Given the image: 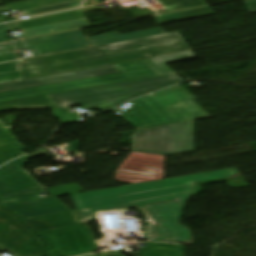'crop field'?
<instances>
[{"mask_svg": "<svg viewBox=\"0 0 256 256\" xmlns=\"http://www.w3.org/2000/svg\"><path fill=\"white\" fill-rule=\"evenodd\" d=\"M224 180L231 187L249 186L234 168L70 196L80 217L104 209L135 207L147 219V240L195 245L189 229L179 223L185 203L201 193V184Z\"/></svg>", "mask_w": 256, "mask_h": 256, "instance_id": "8a807250", "label": "crop field"}, {"mask_svg": "<svg viewBox=\"0 0 256 256\" xmlns=\"http://www.w3.org/2000/svg\"><path fill=\"white\" fill-rule=\"evenodd\" d=\"M189 50L185 42L107 56L99 47L22 61L24 78Z\"/></svg>", "mask_w": 256, "mask_h": 256, "instance_id": "ac0d7876", "label": "crop field"}, {"mask_svg": "<svg viewBox=\"0 0 256 256\" xmlns=\"http://www.w3.org/2000/svg\"><path fill=\"white\" fill-rule=\"evenodd\" d=\"M183 81L178 75H166L141 79L77 91L47 95L63 109L83 104L87 108H98L102 112L121 105L126 100L174 85Z\"/></svg>", "mask_w": 256, "mask_h": 256, "instance_id": "34b2d1b8", "label": "crop field"}, {"mask_svg": "<svg viewBox=\"0 0 256 256\" xmlns=\"http://www.w3.org/2000/svg\"><path fill=\"white\" fill-rule=\"evenodd\" d=\"M193 98L177 85L131 102L136 108L120 117L138 129L209 118L210 116L192 100ZM188 101L199 110L179 112L173 115L167 111Z\"/></svg>", "mask_w": 256, "mask_h": 256, "instance_id": "412701ff", "label": "crop field"}, {"mask_svg": "<svg viewBox=\"0 0 256 256\" xmlns=\"http://www.w3.org/2000/svg\"><path fill=\"white\" fill-rule=\"evenodd\" d=\"M115 66L120 73L1 93L0 102L162 74L148 59L116 64Z\"/></svg>", "mask_w": 256, "mask_h": 256, "instance_id": "f4fd0767", "label": "crop field"}, {"mask_svg": "<svg viewBox=\"0 0 256 256\" xmlns=\"http://www.w3.org/2000/svg\"><path fill=\"white\" fill-rule=\"evenodd\" d=\"M132 149L120 168L141 172H145V166L163 169L164 156L171 155L170 125L136 132Z\"/></svg>", "mask_w": 256, "mask_h": 256, "instance_id": "dd49c442", "label": "crop field"}, {"mask_svg": "<svg viewBox=\"0 0 256 256\" xmlns=\"http://www.w3.org/2000/svg\"><path fill=\"white\" fill-rule=\"evenodd\" d=\"M40 154H43L42 150L0 168V203L2 206L41 199L37 193L43 192L44 187L21 168L27 163L26 159Z\"/></svg>", "mask_w": 256, "mask_h": 256, "instance_id": "e52e79f7", "label": "crop field"}, {"mask_svg": "<svg viewBox=\"0 0 256 256\" xmlns=\"http://www.w3.org/2000/svg\"><path fill=\"white\" fill-rule=\"evenodd\" d=\"M47 241V256H76L97 250L86 225L39 233Z\"/></svg>", "mask_w": 256, "mask_h": 256, "instance_id": "d8731c3e", "label": "crop field"}, {"mask_svg": "<svg viewBox=\"0 0 256 256\" xmlns=\"http://www.w3.org/2000/svg\"><path fill=\"white\" fill-rule=\"evenodd\" d=\"M0 248L16 256H42L43 244L14 215L0 209Z\"/></svg>", "mask_w": 256, "mask_h": 256, "instance_id": "5a996713", "label": "crop field"}, {"mask_svg": "<svg viewBox=\"0 0 256 256\" xmlns=\"http://www.w3.org/2000/svg\"><path fill=\"white\" fill-rule=\"evenodd\" d=\"M8 25L10 30H23L25 38L89 26L80 9Z\"/></svg>", "mask_w": 256, "mask_h": 256, "instance_id": "3316defc", "label": "crop field"}, {"mask_svg": "<svg viewBox=\"0 0 256 256\" xmlns=\"http://www.w3.org/2000/svg\"><path fill=\"white\" fill-rule=\"evenodd\" d=\"M119 72L114 65L73 73L0 84V93Z\"/></svg>", "mask_w": 256, "mask_h": 256, "instance_id": "28ad6ade", "label": "crop field"}, {"mask_svg": "<svg viewBox=\"0 0 256 256\" xmlns=\"http://www.w3.org/2000/svg\"><path fill=\"white\" fill-rule=\"evenodd\" d=\"M83 2L84 0H27L5 5V7L0 8V13L9 10H19L32 17L80 7ZM3 22H5V18H0V23Z\"/></svg>", "mask_w": 256, "mask_h": 256, "instance_id": "d1516ede", "label": "crop field"}, {"mask_svg": "<svg viewBox=\"0 0 256 256\" xmlns=\"http://www.w3.org/2000/svg\"><path fill=\"white\" fill-rule=\"evenodd\" d=\"M183 39L180 37L178 32L169 33L159 36H153L133 41H127L112 45L101 46L100 48L107 54H117L141 49H147L177 42H182Z\"/></svg>", "mask_w": 256, "mask_h": 256, "instance_id": "22f410ed", "label": "crop field"}, {"mask_svg": "<svg viewBox=\"0 0 256 256\" xmlns=\"http://www.w3.org/2000/svg\"><path fill=\"white\" fill-rule=\"evenodd\" d=\"M4 208L16 213L21 219L70 211L65 205L53 197L45 200L27 202L22 204L4 206Z\"/></svg>", "mask_w": 256, "mask_h": 256, "instance_id": "cbeb9de0", "label": "crop field"}, {"mask_svg": "<svg viewBox=\"0 0 256 256\" xmlns=\"http://www.w3.org/2000/svg\"><path fill=\"white\" fill-rule=\"evenodd\" d=\"M35 233L80 224L74 211L22 220Z\"/></svg>", "mask_w": 256, "mask_h": 256, "instance_id": "5142ce71", "label": "crop field"}, {"mask_svg": "<svg viewBox=\"0 0 256 256\" xmlns=\"http://www.w3.org/2000/svg\"><path fill=\"white\" fill-rule=\"evenodd\" d=\"M172 155L193 152L192 121L171 125Z\"/></svg>", "mask_w": 256, "mask_h": 256, "instance_id": "d9b57169", "label": "crop field"}, {"mask_svg": "<svg viewBox=\"0 0 256 256\" xmlns=\"http://www.w3.org/2000/svg\"><path fill=\"white\" fill-rule=\"evenodd\" d=\"M165 32L161 29H152L147 31H141V32H135L130 34H124V35H118L117 33L107 34L103 36H97V37H91L89 38L90 42L93 44L94 47L106 45V44H112L132 39H138L153 35H159L164 34Z\"/></svg>", "mask_w": 256, "mask_h": 256, "instance_id": "733c2abd", "label": "crop field"}, {"mask_svg": "<svg viewBox=\"0 0 256 256\" xmlns=\"http://www.w3.org/2000/svg\"><path fill=\"white\" fill-rule=\"evenodd\" d=\"M115 179L131 184L160 180L163 179V170L146 167V172L141 173L118 169Z\"/></svg>", "mask_w": 256, "mask_h": 256, "instance_id": "4a817a6b", "label": "crop field"}, {"mask_svg": "<svg viewBox=\"0 0 256 256\" xmlns=\"http://www.w3.org/2000/svg\"><path fill=\"white\" fill-rule=\"evenodd\" d=\"M51 38L55 42L60 52L90 46L84 39V35L80 30L52 35Z\"/></svg>", "mask_w": 256, "mask_h": 256, "instance_id": "bc2a9ffb", "label": "crop field"}, {"mask_svg": "<svg viewBox=\"0 0 256 256\" xmlns=\"http://www.w3.org/2000/svg\"><path fill=\"white\" fill-rule=\"evenodd\" d=\"M60 108L45 96L20 101L0 103V111L13 109Z\"/></svg>", "mask_w": 256, "mask_h": 256, "instance_id": "214f88e0", "label": "crop field"}, {"mask_svg": "<svg viewBox=\"0 0 256 256\" xmlns=\"http://www.w3.org/2000/svg\"><path fill=\"white\" fill-rule=\"evenodd\" d=\"M140 254L141 256H184V246L152 243L149 246L143 247Z\"/></svg>", "mask_w": 256, "mask_h": 256, "instance_id": "92a150f3", "label": "crop field"}, {"mask_svg": "<svg viewBox=\"0 0 256 256\" xmlns=\"http://www.w3.org/2000/svg\"><path fill=\"white\" fill-rule=\"evenodd\" d=\"M214 13L211 11L209 7L205 8H197V9H190L185 11H179L164 15L153 16L152 18L158 23H167L173 22L178 20L196 18L201 16L213 15Z\"/></svg>", "mask_w": 256, "mask_h": 256, "instance_id": "dafd665d", "label": "crop field"}, {"mask_svg": "<svg viewBox=\"0 0 256 256\" xmlns=\"http://www.w3.org/2000/svg\"><path fill=\"white\" fill-rule=\"evenodd\" d=\"M18 44L21 49H32L35 56L59 52L50 36L19 41Z\"/></svg>", "mask_w": 256, "mask_h": 256, "instance_id": "00972430", "label": "crop field"}, {"mask_svg": "<svg viewBox=\"0 0 256 256\" xmlns=\"http://www.w3.org/2000/svg\"><path fill=\"white\" fill-rule=\"evenodd\" d=\"M193 57H194V55H193L192 51H189V52H183V53L161 56V57H156V58H150L149 60L163 74H166V73H172L173 71L165 63L188 59V58H193Z\"/></svg>", "mask_w": 256, "mask_h": 256, "instance_id": "a9b5d70f", "label": "crop field"}, {"mask_svg": "<svg viewBox=\"0 0 256 256\" xmlns=\"http://www.w3.org/2000/svg\"><path fill=\"white\" fill-rule=\"evenodd\" d=\"M167 12L193 8L206 3L203 0H157Z\"/></svg>", "mask_w": 256, "mask_h": 256, "instance_id": "4177f3b9", "label": "crop field"}, {"mask_svg": "<svg viewBox=\"0 0 256 256\" xmlns=\"http://www.w3.org/2000/svg\"><path fill=\"white\" fill-rule=\"evenodd\" d=\"M21 79L19 61L0 64V82Z\"/></svg>", "mask_w": 256, "mask_h": 256, "instance_id": "730fd06b", "label": "crop field"}, {"mask_svg": "<svg viewBox=\"0 0 256 256\" xmlns=\"http://www.w3.org/2000/svg\"><path fill=\"white\" fill-rule=\"evenodd\" d=\"M24 148L17 142L11 145H7L0 148V165L15 158L23 155Z\"/></svg>", "mask_w": 256, "mask_h": 256, "instance_id": "eef30255", "label": "crop field"}, {"mask_svg": "<svg viewBox=\"0 0 256 256\" xmlns=\"http://www.w3.org/2000/svg\"><path fill=\"white\" fill-rule=\"evenodd\" d=\"M46 190H48L54 196L84 192V190L76 184L54 187V188H48Z\"/></svg>", "mask_w": 256, "mask_h": 256, "instance_id": "ae1a2a85", "label": "crop field"}, {"mask_svg": "<svg viewBox=\"0 0 256 256\" xmlns=\"http://www.w3.org/2000/svg\"><path fill=\"white\" fill-rule=\"evenodd\" d=\"M16 44L8 43L0 45V62L19 59L18 55H12L11 51L17 50Z\"/></svg>", "mask_w": 256, "mask_h": 256, "instance_id": "d3111659", "label": "crop field"}, {"mask_svg": "<svg viewBox=\"0 0 256 256\" xmlns=\"http://www.w3.org/2000/svg\"><path fill=\"white\" fill-rule=\"evenodd\" d=\"M17 141L18 140L15 138L13 134L0 136V147Z\"/></svg>", "mask_w": 256, "mask_h": 256, "instance_id": "750c4746", "label": "crop field"}, {"mask_svg": "<svg viewBox=\"0 0 256 256\" xmlns=\"http://www.w3.org/2000/svg\"><path fill=\"white\" fill-rule=\"evenodd\" d=\"M197 108L195 106H193L190 102L177 107L171 111H169L171 114L175 113V112H179V111H186V110H196Z\"/></svg>", "mask_w": 256, "mask_h": 256, "instance_id": "bd1437ed", "label": "crop field"}, {"mask_svg": "<svg viewBox=\"0 0 256 256\" xmlns=\"http://www.w3.org/2000/svg\"><path fill=\"white\" fill-rule=\"evenodd\" d=\"M8 29L6 25L0 26V42L9 41L10 38H6Z\"/></svg>", "mask_w": 256, "mask_h": 256, "instance_id": "1d83c4d3", "label": "crop field"}, {"mask_svg": "<svg viewBox=\"0 0 256 256\" xmlns=\"http://www.w3.org/2000/svg\"><path fill=\"white\" fill-rule=\"evenodd\" d=\"M12 132L11 127L6 128L2 122L0 121V135L9 134Z\"/></svg>", "mask_w": 256, "mask_h": 256, "instance_id": "120bbe31", "label": "crop field"}, {"mask_svg": "<svg viewBox=\"0 0 256 256\" xmlns=\"http://www.w3.org/2000/svg\"><path fill=\"white\" fill-rule=\"evenodd\" d=\"M79 143L80 141L72 142L69 150L78 151Z\"/></svg>", "mask_w": 256, "mask_h": 256, "instance_id": "d32e631a", "label": "crop field"}, {"mask_svg": "<svg viewBox=\"0 0 256 256\" xmlns=\"http://www.w3.org/2000/svg\"><path fill=\"white\" fill-rule=\"evenodd\" d=\"M246 6L251 11V13H256V4H250Z\"/></svg>", "mask_w": 256, "mask_h": 256, "instance_id": "5866460e", "label": "crop field"}, {"mask_svg": "<svg viewBox=\"0 0 256 256\" xmlns=\"http://www.w3.org/2000/svg\"><path fill=\"white\" fill-rule=\"evenodd\" d=\"M245 4L256 3V0H244Z\"/></svg>", "mask_w": 256, "mask_h": 256, "instance_id": "028f5c9d", "label": "crop field"}, {"mask_svg": "<svg viewBox=\"0 0 256 256\" xmlns=\"http://www.w3.org/2000/svg\"><path fill=\"white\" fill-rule=\"evenodd\" d=\"M88 1H94V0H87V2H88Z\"/></svg>", "mask_w": 256, "mask_h": 256, "instance_id": "e1f06a70", "label": "crop field"}]
</instances>
